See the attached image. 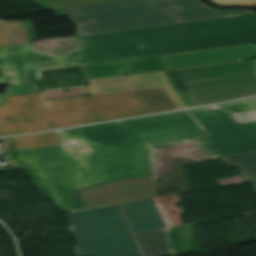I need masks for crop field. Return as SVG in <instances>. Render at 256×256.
Returning <instances> with one entry per match:
<instances>
[{
	"label": "crop field",
	"instance_id": "4a817a6b",
	"mask_svg": "<svg viewBox=\"0 0 256 256\" xmlns=\"http://www.w3.org/2000/svg\"><path fill=\"white\" fill-rule=\"evenodd\" d=\"M80 98L75 99H64V100H53V101H44L43 105L47 108L48 111H60L61 113H70L73 111V107L78 109H83L80 105Z\"/></svg>",
	"mask_w": 256,
	"mask_h": 256
},
{
	"label": "crop field",
	"instance_id": "22f410ed",
	"mask_svg": "<svg viewBox=\"0 0 256 256\" xmlns=\"http://www.w3.org/2000/svg\"><path fill=\"white\" fill-rule=\"evenodd\" d=\"M31 20L3 22L0 19V46L35 41Z\"/></svg>",
	"mask_w": 256,
	"mask_h": 256
},
{
	"label": "crop field",
	"instance_id": "3316defc",
	"mask_svg": "<svg viewBox=\"0 0 256 256\" xmlns=\"http://www.w3.org/2000/svg\"><path fill=\"white\" fill-rule=\"evenodd\" d=\"M171 70L256 59L254 44L163 56Z\"/></svg>",
	"mask_w": 256,
	"mask_h": 256
},
{
	"label": "crop field",
	"instance_id": "34b2d1b8",
	"mask_svg": "<svg viewBox=\"0 0 256 256\" xmlns=\"http://www.w3.org/2000/svg\"><path fill=\"white\" fill-rule=\"evenodd\" d=\"M84 110L63 115L48 112L41 94L4 97L0 106V136L52 130L81 124L176 110L163 88L81 98ZM28 102H34L30 106Z\"/></svg>",
	"mask_w": 256,
	"mask_h": 256
},
{
	"label": "crop field",
	"instance_id": "214f88e0",
	"mask_svg": "<svg viewBox=\"0 0 256 256\" xmlns=\"http://www.w3.org/2000/svg\"><path fill=\"white\" fill-rule=\"evenodd\" d=\"M70 155H83L91 149L85 143H79L75 141L62 142Z\"/></svg>",
	"mask_w": 256,
	"mask_h": 256
},
{
	"label": "crop field",
	"instance_id": "cbeb9de0",
	"mask_svg": "<svg viewBox=\"0 0 256 256\" xmlns=\"http://www.w3.org/2000/svg\"><path fill=\"white\" fill-rule=\"evenodd\" d=\"M166 230L135 235L145 256H173L164 235Z\"/></svg>",
	"mask_w": 256,
	"mask_h": 256
},
{
	"label": "crop field",
	"instance_id": "d8731c3e",
	"mask_svg": "<svg viewBox=\"0 0 256 256\" xmlns=\"http://www.w3.org/2000/svg\"><path fill=\"white\" fill-rule=\"evenodd\" d=\"M80 68L82 69L85 80L164 71L174 92L179 93L188 108L194 107V104L189 99L187 93L181 92L172 71L170 70L162 56L148 59L128 60L85 66Z\"/></svg>",
	"mask_w": 256,
	"mask_h": 256
},
{
	"label": "crop field",
	"instance_id": "e52e79f7",
	"mask_svg": "<svg viewBox=\"0 0 256 256\" xmlns=\"http://www.w3.org/2000/svg\"><path fill=\"white\" fill-rule=\"evenodd\" d=\"M195 104L204 105L256 95V73L182 83Z\"/></svg>",
	"mask_w": 256,
	"mask_h": 256
},
{
	"label": "crop field",
	"instance_id": "a9b5d70f",
	"mask_svg": "<svg viewBox=\"0 0 256 256\" xmlns=\"http://www.w3.org/2000/svg\"><path fill=\"white\" fill-rule=\"evenodd\" d=\"M4 94H0V105H2V99Z\"/></svg>",
	"mask_w": 256,
	"mask_h": 256
},
{
	"label": "crop field",
	"instance_id": "5142ce71",
	"mask_svg": "<svg viewBox=\"0 0 256 256\" xmlns=\"http://www.w3.org/2000/svg\"><path fill=\"white\" fill-rule=\"evenodd\" d=\"M5 140L6 143L4 149L6 151L13 149L62 144L56 132L5 138Z\"/></svg>",
	"mask_w": 256,
	"mask_h": 256
},
{
	"label": "crop field",
	"instance_id": "bc2a9ffb",
	"mask_svg": "<svg viewBox=\"0 0 256 256\" xmlns=\"http://www.w3.org/2000/svg\"><path fill=\"white\" fill-rule=\"evenodd\" d=\"M6 90L7 93L4 96H19L39 93L35 83L10 85Z\"/></svg>",
	"mask_w": 256,
	"mask_h": 256
},
{
	"label": "crop field",
	"instance_id": "f4fd0767",
	"mask_svg": "<svg viewBox=\"0 0 256 256\" xmlns=\"http://www.w3.org/2000/svg\"><path fill=\"white\" fill-rule=\"evenodd\" d=\"M67 214L81 240L77 256H142L118 204Z\"/></svg>",
	"mask_w": 256,
	"mask_h": 256
},
{
	"label": "crop field",
	"instance_id": "8a807250",
	"mask_svg": "<svg viewBox=\"0 0 256 256\" xmlns=\"http://www.w3.org/2000/svg\"><path fill=\"white\" fill-rule=\"evenodd\" d=\"M247 111L256 112L253 99L189 111L210 136L186 111L58 132L62 141L86 142L93 151L84 156H70L57 145L9 151L5 159H18L43 195L68 212L74 210L70 188L152 178L155 145L194 139L216 158L256 151V121L238 116Z\"/></svg>",
	"mask_w": 256,
	"mask_h": 256
},
{
	"label": "crop field",
	"instance_id": "5a996713",
	"mask_svg": "<svg viewBox=\"0 0 256 256\" xmlns=\"http://www.w3.org/2000/svg\"><path fill=\"white\" fill-rule=\"evenodd\" d=\"M92 95L163 87L178 109L187 108L178 93L174 94L164 73L121 76L89 81Z\"/></svg>",
	"mask_w": 256,
	"mask_h": 256
},
{
	"label": "crop field",
	"instance_id": "92a150f3",
	"mask_svg": "<svg viewBox=\"0 0 256 256\" xmlns=\"http://www.w3.org/2000/svg\"><path fill=\"white\" fill-rule=\"evenodd\" d=\"M221 5H256V0H211Z\"/></svg>",
	"mask_w": 256,
	"mask_h": 256
},
{
	"label": "crop field",
	"instance_id": "dd49c442",
	"mask_svg": "<svg viewBox=\"0 0 256 256\" xmlns=\"http://www.w3.org/2000/svg\"><path fill=\"white\" fill-rule=\"evenodd\" d=\"M71 189L75 211L152 197V179H122Z\"/></svg>",
	"mask_w": 256,
	"mask_h": 256
},
{
	"label": "crop field",
	"instance_id": "ac0d7876",
	"mask_svg": "<svg viewBox=\"0 0 256 256\" xmlns=\"http://www.w3.org/2000/svg\"><path fill=\"white\" fill-rule=\"evenodd\" d=\"M54 56L33 43L0 47V85L42 81L41 71L256 43V14L75 37Z\"/></svg>",
	"mask_w": 256,
	"mask_h": 256
},
{
	"label": "crop field",
	"instance_id": "28ad6ade",
	"mask_svg": "<svg viewBox=\"0 0 256 256\" xmlns=\"http://www.w3.org/2000/svg\"><path fill=\"white\" fill-rule=\"evenodd\" d=\"M133 233L164 228L165 225L152 198L119 204Z\"/></svg>",
	"mask_w": 256,
	"mask_h": 256
},
{
	"label": "crop field",
	"instance_id": "733c2abd",
	"mask_svg": "<svg viewBox=\"0 0 256 256\" xmlns=\"http://www.w3.org/2000/svg\"><path fill=\"white\" fill-rule=\"evenodd\" d=\"M115 0H49V1H40L37 2L38 4L50 9H62V8H69V7H77V6H85L103 2H109Z\"/></svg>",
	"mask_w": 256,
	"mask_h": 256
},
{
	"label": "crop field",
	"instance_id": "412701ff",
	"mask_svg": "<svg viewBox=\"0 0 256 256\" xmlns=\"http://www.w3.org/2000/svg\"><path fill=\"white\" fill-rule=\"evenodd\" d=\"M78 25V35L255 12L215 10L198 0H121L54 11Z\"/></svg>",
	"mask_w": 256,
	"mask_h": 256
},
{
	"label": "crop field",
	"instance_id": "00972430",
	"mask_svg": "<svg viewBox=\"0 0 256 256\" xmlns=\"http://www.w3.org/2000/svg\"><path fill=\"white\" fill-rule=\"evenodd\" d=\"M248 180H249V182H251V181H256V173L249 175V176H248Z\"/></svg>",
	"mask_w": 256,
	"mask_h": 256
},
{
	"label": "crop field",
	"instance_id": "dafd665d",
	"mask_svg": "<svg viewBox=\"0 0 256 256\" xmlns=\"http://www.w3.org/2000/svg\"><path fill=\"white\" fill-rule=\"evenodd\" d=\"M240 115L245 122L256 120V113L253 112L242 113Z\"/></svg>",
	"mask_w": 256,
	"mask_h": 256
},
{
	"label": "crop field",
	"instance_id": "d1516ede",
	"mask_svg": "<svg viewBox=\"0 0 256 256\" xmlns=\"http://www.w3.org/2000/svg\"><path fill=\"white\" fill-rule=\"evenodd\" d=\"M176 71V70H175ZM182 82L202 80L214 77L256 72V61H245L225 65L201 66L177 70Z\"/></svg>",
	"mask_w": 256,
	"mask_h": 256
},
{
	"label": "crop field",
	"instance_id": "eef30255",
	"mask_svg": "<svg viewBox=\"0 0 256 256\" xmlns=\"http://www.w3.org/2000/svg\"><path fill=\"white\" fill-rule=\"evenodd\" d=\"M36 1H40V0H36Z\"/></svg>",
	"mask_w": 256,
	"mask_h": 256
},
{
	"label": "crop field",
	"instance_id": "730fd06b",
	"mask_svg": "<svg viewBox=\"0 0 256 256\" xmlns=\"http://www.w3.org/2000/svg\"><path fill=\"white\" fill-rule=\"evenodd\" d=\"M30 105H34L33 103H30Z\"/></svg>",
	"mask_w": 256,
	"mask_h": 256
},
{
	"label": "crop field",
	"instance_id": "4177f3b9",
	"mask_svg": "<svg viewBox=\"0 0 256 256\" xmlns=\"http://www.w3.org/2000/svg\"><path fill=\"white\" fill-rule=\"evenodd\" d=\"M254 186H255V188H256V182H254Z\"/></svg>",
	"mask_w": 256,
	"mask_h": 256
},
{
	"label": "crop field",
	"instance_id": "d9b57169",
	"mask_svg": "<svg viewBox=\"0 0 256 256\" xmlns=\"http://www.w3.org/2000/svg\"><path fill=\"white\" fill-rule=\"evenodd\" d=\"M223 160L240 170L243 175L256 172V152L224 157Z\"/></svg>",
	"mask_w": 256,
	"mask_h": 256
}]
</instances>
